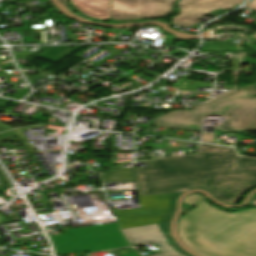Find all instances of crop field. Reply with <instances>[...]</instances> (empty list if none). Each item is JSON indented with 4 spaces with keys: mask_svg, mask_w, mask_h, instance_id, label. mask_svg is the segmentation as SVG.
<instances>
[{
    "mask_svg": "<svg viewBox=\"0 0 256 256\" xmlns=\"http://www.w3.org/2000/svg\"><path fill=\"white\" fill-rule=\"evenodd\" d=\"M177 0H112L111 20L152 18L173 11Z\"/></svg>",
    "mask_w": 256,
    "mask_h": 256,
    "instance_id": "dd49c442",
    "label": "crop field"
},
{
    "mask_svg": "<svg viewBox=\"0 0 256 256\" xmlns=\"http://www.w3.org/2000/svg\"><path fill=\"white\" fill-rule=\"evenodd\" d=\"M64 236L53 237L57 255L89 251L90 253L130 245L117 223L62 231Z\"/></svg>",
    "mask_w": 256,
    "mask_h": 256,
    "instance_id": "412701ff",
    "label": "crop field"
},
{
    "mask_svg": "<svg viewBox=\"0 0 256 256\" xmlns=\"http://www.w3.org/2000/svg\"><path fill=\"white\" fill-rule=\"evenodd\" d=\"M182 193L140 197L142 209L117 211L121 229L170 222L175 201Z\"/></svg>",
    "mask_w": 256,
    "mask_h": 256,
    "instance_id": "f4fd0767",
    "label": "crop field"
},
{
    "mask_svg": "<svg viewBox=\"0 0 256 256\" xmlns=\"http://www.w3.org/2000/svg\"><path fill=\"white\" fill-rule=\"evenodd\" d=\"M249 63H256V59L253 58H247L242 60L241 64H249Z\"/></svg>",
    "mask_w": 256,
    "mask_h": 256,
    "instance_id": "cbeb9de0",
    "label": "crop field"
},
{
    "mask_svg": "<svg viewBox=\"0 0 256 256\" xmlns=\"http://www.w3.org/2000/svg\"><path fill=\"white\" fill-rule=\"evenodd\" d=\"M245 171L256 176V159L239 157Z\"/></svg>",
    "mask_w": 256,
    "mask_h": 256,
    "instance_id": "d1516ede",
    "label": "crop field"
},
{
    "mask_svg": "<svg viewBox=\"0 0 256 256\" xmlns=\"http://www.w3.org/2000/svg\"><path fill=\"white\" fill-rule=\"evenodd\" d=\"M196 206L183 216L179 231L186 243L204 256H256V209L227 213L203 196H188Z\"/></svg>",
    "mask_w": 256,
    "mask_h": 256,
    "instance_id": "ac0d7876",
    "label": "crop field"
},
{
    "mask_svg": "<svg viewBox=\"0 0 256 256\" xmlns=\"http://www.w3.org/2000/svg\"><path fill=\"white\" fill-rule=\"evenodd\" d=\"M120 256H140L136 251L130 252L129 254L126 255H120Z\"/></svg>",
    "mask_w": 256,
    "mask_h": 256,
    "instance_id": "d9b57169",
    "label": "crop field"
},
{
    "mask_svg": "<svg viewBox=\"0 0 256 256\" xmlns=\"http://www.w3.org/2000/svg\"><path fill=\"white\" fill-rule=\"evenodd\" d=\"M207 115L228 116L220 129L256 130V84L214 97L204 105H193V111L179 110L156 118V126L196 130Z\"/></svg>",
    "mask_w": 256,
    "mask_h": 256,
    "instance_id": "34b2d1b8",
    "label": "crop field"
},
{
    "mask_svg": "<svg viewBox=\"0 0 256 256\" xmlns=\"http://www.w3.org/2000/svg\"><path fill=\"white\" fill-rule=\"evenodd\" d=\"M251 204L256 205V197L253 199V201L251 202Z\"/></svg>",
    "mask_w": 256,
    "mask_h": 256,
    "instance_id": "733c2abd",
    "label": "crop field"
},
{
    "mask_svg": "<svg viewBox=\"0 0 256 256\" xmlns=\"http://www.w3.org/2000/svg\"><path fill=\"white\" fill-rule=\"evenodd\" d=\"M203 51H238L239 45L227 44V43H205Z\"/></svg>",
    "mask_w": 256,
    "mask_h": 256,
    "instance_id": "28ad6ade",
    "label": "crop field"
},
{
    "mask_svg": "<svg viewBox=\"0 0 256 256\" xmlns=\"http://www.w3.org/2000/svg\"><path fill=\"white\" fill-rule=\"evenodd\" d=\"M135 171L140 196L202 187L235 204L248 186H256V177L245 173L233 148L205 144L198 155L152 160Z\"/></svg>",
    "mask_w": 256,
    "mask_h": 256,
    "instance_id": "8a807250",
    "label": "crop field"
},
{
    "mask_svg": "<svg viewBox=\"0 0 256 256\" xmlns=\"http://www.w3.org/2000/svg\"><path fill=\"white\" fill-rule=\"evenodd\" d=\"M79 48L80 47L56 48L41 58L56 63Z\"/></svg>",
    "mask_w": 256,
    "mask_h": 256,
    "instance_id": "3316defc",
    "label": "crop field"
},
{
    "mask_svg": "<svg viewBox=\"0 0 256 256\" xmlns=\"http://www.w3.org/2000/svg\"><path fill=\"white\" fill-rule=\"evenodd\" d=\"M202 142L216 143V130L213 133L202 132Z\"/></svg>",
    "mask_w": 256,
    "mask_h": 256,
    "instance_id": "22f410ed",
    "label": "crop field"
},
{
    "mask_svg": "<svg viewBox=\"0 0 256 256\" xmlns=\"http://www.w3.org/2000/svg\"><path fill=\"white\" fill-rule=\"evenodd\" d=\"M123 232L131 245L154 241L162 252V254L156 256H184L168 245L167 239L162 234L158 224L124 229Z\"/></svg>",
    "mask_w": 256,
    "mask_h": 256,
    "instance_id": "d8731c3e",
    "label": "crop field"
},
{
    "mask_svg": "<svg viewBox=\"0 0 256 256\" xmlns=\"http://www.w3.org/2000/svg\"><path fill=\"white\" fill-rule=\"evenodd\" d=\"M83 14L99 20H110L111 0H71Z\"/></svg>",
    "mask_w": 256,
    "mask_h": 256,
    "instance_id": "5a996713",
    "label": "crop field"
},
{
    "mask_svg": "<svg viewBox=\"0 0 256 256\" xmlns=\"http://www.w3.org/2000/svg\"><path fill=\"white\" fill-rule=\"evenodd\" d=\"M245 7L251 8L256 10V0H253L252 2H250L248 5H246Z\"/></svg>",
    "mask_w": 256,
    "mask_h": 256,
    "instance_id": "5142ce71",
    "label": "crop field"
},
{
    "mask_svg": "<svg viewBox=\"0 0 256 256\" xmlns=\"http://www.w3.org/2000/svg\"><path fill=\"white\" fill-rule=\"evenodd\" d=\"M245 0H179L180 14L172 18V24L191 28L203 16L217 10H233L235 4Z\"/></svg>",
    "mask_w": 256,
    "mask_h": 256,
    "instance_id": "e52e79f7",
    "label": "crop field"
}]
</instances>
